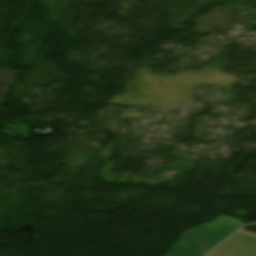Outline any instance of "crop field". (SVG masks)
Instances as JSON below:
<instances>
[{
  "mask_svg": "<svg viewBox=\"0 0 256 256\" xmlns=\"http://www.w3.org/2000/svg\"><path fill=\"white\" fill-rule=\"evenodd\" d=\"M243 225L220 216L215 221L188 230L166 256H203Z\"/></svg>",
  "mask_w": 256,
  "mask_h": 256,
  "instance_id": "1",
  "label": "crop field"
},
{
  "mask_svg": "<svg viewBox=\"0 0 256 256\" xmlns=\"http://www.w3.org/2000/svg\"><path fill=\"white\" fill-rule=\"evenodd\" d=\"M208 256H256V234L241 230Z\"/></svg>",
  "mask_w": 256,
  "mask_h": 256,
  "instance_id": "2",
  "label": "crop field"
}]
</instances>
